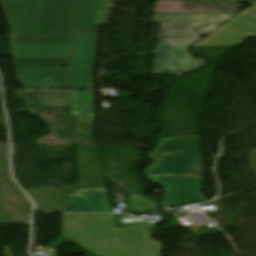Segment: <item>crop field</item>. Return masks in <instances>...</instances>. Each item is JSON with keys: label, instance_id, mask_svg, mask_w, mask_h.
<instances>
[{"label": "crop field", "instance_id": "obj_2", "mask_svg": "<svg viewBox=\"0 0 256 256\" xmlns=\"http://www.w3.org/2000/svg\"><path fill=\"white\" fill-rule=\"evenodd\" d=\"M76 0H1L11 37L73 33Z\"/></svg>", "mask_w": 256, "mask_h": 256}, {"label": "crop field", "instance_id": "obj_1", "mask_svg": "<svg viewBox=\"0 0 256 256\" xmlns=\"http://www.w3.org/2000/svg\"><path fill=\"white\" fill-rule=\"evenodd\" d=\"M117 216L63 214L61 235L96 256H160L151 239L153 224L117 228Z\"/></svg>", "mask_w": 256, "mask_h": 256}, {"label": "crop field", "instance_id": "obj_11", "mask_svg": "<svg viewBox=\"0 0 256 256\" xmlns=\"http://www.w3.org/2000/svg\"><path fill=\"white\" fill-rule=\"evenodd\" d=\"M111 0H77L75 32L97 31L98 24H107Z\"/></svg>", "mask_w": 256, "mask_h": 256}, {"label": "crop field", "instance_id": "obj_7", "mask_svg": "<svg viewBox=\"0 0 256 256\" xmlns=\"http://www.w3.org/2000/svg\"><path fill=\"white\" fill-rule=\"evenodd\" d=\"M188 48L159 46L153 73L184 76L207 64L202 59H193Z\"/></svg>", "mask_w": 256, "mask_h": 256}, {"label": "crop field", "instance_id": "obj_17", "mask_svg": "<svg viewBox=\"0 0 256 256\" xmlns=\"http://www.w3.org/2000/svg\"><path fill=\"white\" fill-rule=\"evenodd\" d=\"M132 213L157 211L158 207L155 202L140 195H129Z\"/></svg>", "mask_w": 256, "mask_h": 256}, {"label": "crop field", "instance_id": "obj_16", "mask_svg": "<svg viewBox=\"0 0 256 256\" xmlns=\"http://www.w3.org/2000/svg\"><path fill=\"white\" fill-rule=\"evenodd\" d=\"M210 16V14L157 13L156 21L163 23H207Z\"/></svg>", "mask_w": 256, "mask_h": 256}, {"label": "crop field", "instance_id": "obj_3", "mask_svg": "<svg viewBox=\"0 0 256 256\" xmlns=\"http://www.w3.org/2000/svg\"><path fill=\"white\" fill-rule=\"evenodd\" d=\"M156 160L146 175H201L202 164L198 137L160 139L157 148L147 155Z\"/></svg>", "mask_w": 256, "mask_h": 256}, {"label": "crop field", "instance_id": "obj_14", "mask_svg": "<svg viewBox=\"0 0 256 256\" xmlns=\"http://www.w3.org/2000/svg\"><path fill=\"white\" fill-rule=\"evenodd\" d=\"M16 67H70V58H13Z\"/></svg>", "mask_w": 256, "mask_h": 256}, {"label": "crop field", "instance_id": "obj_21", "mask_svg": "<svg viewBox=\"0 0 256 256\" xmlns=\"http://www.w3.org/2000/svg\"><path fill=\"white\" fill-rule=\"evenodd\" d=\"M244 12L256 15V7H252V8H250V9L244 11Z\"/></svg>", "mask_w": 256, "mask_h": 256}, {"label": "crop field", "instance_id": "obj_18", "mask_svg": "<svg viewBox=\"0 0 256 256\" xmlns=\"http://www.w3.org/2000/svg\"><path fill=\"white\" fill-rule=\"evenodd\" d=\"M71 114L76 119L75 134L91 135L94 116L86 115L89 117V120H86V117L82 114L74 112H71Z\"/></svg>", "mask_w": 256, "mask_h": 256}, {"label": "crop field", "instance_id": "obj_4", "mask_svg": "<svg viewBox=\"0 0 256 256\" xmlns=\"http://www.w3.org/2000/svg\"><path fill=\"white\" fill-rule=\"evenodd\" d=\"M73 34L11 38L12 57H70Z\"/></svg>", "mask_w": 256, "mask_h": 256}, {"label": "crop field", "instance_id": "obj_8", "mask_svg": "<svg viewBox=\"0 0 256 256\" xmlns=\"http://www.w3.org/2000/svg\"><path fill=\"white\" fill-rule=\"evenodd\" d=\"M24 89H68L70 68H16Z\"/></svg>", "mask_w": 256, "mask_h": 256}, {"label": "crop field", "instance_id": "obj_20", "mask_svg": "<svg viewBox=\"0 0 256 256\" xmlns=\"http://www.w3.org/2000/svg\"><path fill=\"white\" fill-rule=\"evenodd\" d=\"M222 1L245 3V4H251V5L256 4V0H222Z\"/></svg>", "mask_w": 256, "mask_h": 256}, {"label": "crop field", "instance_id": "obj_5", "mask_svg": "<svg viewBox=\"0 0 256 256\" xmlns=\"http://www.w3.org/2000/svg\"><path fill=\"white\" fill-rule=\"evenodd\" d=\"M152 183L165 187V208L207 201L202 194L201 178L147 176ZM201 177V176H196Z\"/></svg>", "mask_w": 256, "mask_h": 256}, {"label": "crop field", "instance_id": "obj_10", "mask_svg": "<svg viewBox=\"0 0 256 256\" xmlns=\"http://www.w3.org/2000/svg\"><path fill=\"white\" fill-rule=\"evenodd\" d=\"M217 27L211 24H162L160 45L190 46Z\"/></svg>", "mask_w": 256, "mask_h": 256}, {"label": "crop field", "instance_id": "obj_15", "mask_svg": "<svg viewBox=\"0 0 256 256\" xmlns=\"http://www.w3.org/2000/svg\"><path fill=\"white\" fill-rule=\"evenodd\" d=\"M93 96L94 92L70 91L72 111L94 115Z\"/></svg>", "mask_w": 256, "mask_h": 256}, {"label": "crop field", "instance_id": "obj_19", "mask_svg": "<svg viewBox=\"0 0 256 256\" xmlns=\"http://www.w3.org/2000/svg\"><path fill=\"white\" fill-rule=\"evenodd\" d=\"M232 16L234 15L233 14H214L211 16L209 23L214 25H220Z\"/></svg>", "mask_w": 256, "mask_h": 256}, {"label": "crop field", "instance_id": "obj_12", "mask_svg": "<svg viewBox=\"0 0 256 256\" xmlns=\"http://www.w3.org/2000/svg\"><path fill=\"white\" fill-rule=\"evenodd\" d=\"M69 199L72 212L110 213L105 189L78 191Z\"/></svg>", "mask_w": 256, "mask_h": 256}, {"label": "crop field", "instance_id": "obj_13", "mask_svg": "<svg viewBox=\"0 0 256 256\" xmlns=\"http://www.w3.org/2000/svg\"><path fill=\"white\" fill-rule=\"evenodd\" d=\"M41 107H69L68 91H27Z\"/></svg>", "mask_w": 256, "mask_h": 256}, {"label": "crop field", "instance_id": "obj_6", "mask_svg": "<svg viewBox=\"0 0 256 256\" xmlns=\"http://www.w3.org/2000/svg\"><path fill=\"white\" fill-rule=\"evenodd\" d=\"M96 33H75L70 89H91Z\"/></svg>", "mask_w": 256, "mask_h": 256}, {"label": "crop field", "instance_id": "obj_9", "mask_svg": "<svg viewBox=\"0 0 256 256\" xmlns=\"http://www.w3.org/2000/svg\"><path fill=\"white\" fill-rule=\"evenodd\" d=\"M249 34L256 35V17L242 13L195 46L243 44Z\"/></svg>", "mask_w": 256, "mask_h": 256}]
</instances>
